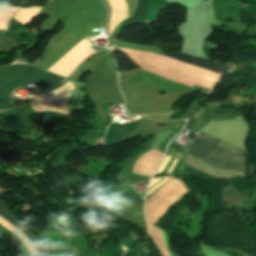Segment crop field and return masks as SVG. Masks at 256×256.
<instances>
[{
    "label": "crop field",
    "mask_w": 256,
    "mask_h": 256,
    "mask_svg": "<svg viewBox=\"0 0 256 256\" xmlns=\"http://www.w3.org/2000/svg\"><path fill=\"white\" fill-rule=\"evenodd\" d=\"M74 90V84L67 82L59 88L40 95H28L31 107L37 112L43 110H54L68 114L67 102Z\"/></svg>",
    "instance_id": "f4fd0767"
},
{
    "label": "crop field",
    "mask_w": 256,
    "mask_h": 256,
    "mask_svg": "<svg viewBox=\"0 0 256 256\" xmlns=\"http://www.w3.org/2000/svg\"><path fill=\"white\" fill-rule=\"evenodd\" d=\"M0 216L4 217L11 224L17 227L20 231L25 233L27 237L31 240V242L35 245V247L40 252V254L46 253L44 248L39 244L36 236L30 230H28L18 218H16L13 215V213L9 210L8 206H6L1 200H0Z\"/></svg>",
    "instance_id": "5a996713"
},
{
    "label": "crop field",
    "mask_w": 256,
    "mask_h": 256,
    "mask_svg": "<svg viewBox=\"0 0 256 256\" xmlns=\"http://www.w3.org/2000/svg\"><path fill=\"white\" fill-rule=\"evenodd\" d=\"M240 114L241 112L239 111L228 110V109H218V108L191 109L188 115V121H189L188 127H190L191 130L188 132V134L198 132L205 124L211 121L237 119Z\"/></svg>",
    "instance_id": "dd49c442"
},
{
    "label": "crop field",
    "mask_w": 256,
    "mask_h": 256,
    "mask_svg": "<svg viewBox=\"0 0 256 256\" xmlns=\"http://www.w3.org/2000/svg\"><path fill=\"white\" fill-rule=\"evenodd\" d=\"M161 54L164 56L170 57V58H174V59L192 64V65H196V66H199V67H202L205 69H209V70H212L215 72H219L222 74L225 72L231 71L233 68L231 65L192 57L183 52L172 53V52L162 51Z\"/></svg>",
    "instance_id": "d8731c3e"
},
{
    "label": "crop field",
    "mask_w": 256,
    "mask_h": 256,
    "mask_svg": "<svg viewBox=\"0 0 256 256\" xmlns=\"http://www.w3.org/2000/svg\"><path fill=\"white\" fill-rule=\"evenodd\" d=\"M50 0H24L23 8L30 6H47Z\"/></svg>",
    "instance_id": "22f410ed"
},
{
    "label": "crop field",
    "mask_w": 256,
    "mask_h": 256,
    "mask_svg": "<svg viewBox=\"0 0 256 256\" xmlns=\"http://www.w3.org/2000/svg\"><path fill=\"white\" fill-rule=\"evenodd\" d=\"M187 191L188 189L183 182L171 178L146 202L147 222L154 225L163 213Z\"/></svg>",
    "instance_id": "34b2d1b8"
},
{
    "label": "crop field",
    "mask_w": 256,
    "mask_h": 256,
    "mask_svg": "<svg viewBox=\"0 0 256 256\" xmlns=\"http://www.w3.org/2000/svg\"><path fill=\"white\" fill-rule=\"evenodd\" d=\"M77 67H78V66H77ZM77 67H76V68H77ZM76 68H75V69H76ZM75 69H74V70H75ZM74 70H73V71H74ZM73 71H72V72H73ZM72 72H71V73H72ZM71 73H70V74H71ZM70 74H69V75H70ZM69 75H68V76H69ZM68 76H67V77H68ZM67 77H66V78H67Z\"/></svg>",
    "instance_id": "5142ce71"
},
{
    "label": "crop field",
    "mask_w": 256,
    "mask_h": 256,
    "mask_svg": "<svg viewBox=\"0 0 256 256\" xmlns=\"http://www.w3.org/2000/svg\"><path fill=\"white\" fill-rule=\"evenodd\" d=\"M0 231L7 233L28 256H31V254L28 252V250L24 247V245L20 242V240L17 238L15 234H13L11 231L6 229L1 224H0ZM41 256H48V255H41Z\"/></svg>",
    "instance_id": "d1516ede"
},
{
    "label": "crop field",
    "mask_w": 256,
    "mask_h": 256,
    "mask_svg": "<svg viewBox=\"0 0 256 256\" xmlns=\"http://www.w3.org/2000/svg\"><path fill=\"white\" fill-rule=\"evenodd\" d=\"M165 4L166 0L149 1V22L155 21L158 13ZM141 22H148V0H137V7L134 13L129 18L123 20L120 30L128 25Z\"/></svg>",
    "instance_id": "e52e79f7"
},
{
    "label": "crop field",
    "mask_w": 256,
    "mask_h": 256,
    "mask_svg": "<svg viewBox=\"0 0 256 256\" xmlns=\"http://www.w3.org/2000/svg\"><path fill=\"white\" fill-rule=\"evenodd\" d=\"M199 134L187 153L213 168L232 169L245 175V156H242L243 153H246L244 149L232 146L201 131Z\"/></svg>",
    "instance_id": "8a807250"
},
{
    "label": "crop field",
    "mask_w": 256,
    "mask_h": 256,
    "mask_svg": "<svg viewBox=\"0 0 256 256\" xmlns=\"http://www.w3.org/2000/svg\"><path fill=\"white\" fill-rule=\"evenodd\" d=\"M34 69L35 67L27 65H11L0 68V108H2L7 102L10 92L16 88L24 78L32 73ZM27 78V81L24 84L25 86L33 82L43 87L42 89L48 88L63 79L58 76L45 73L37 68Z\"/></svg>",
    "instance_id": "ac0d7876"
},
{
    "label": "crop field",
    "mask_w": 256,
    "mask_h": 256,
    "mask_svg": "<svg viewBox=\"0 0 256 256\" xmlns=\"http://www.w3.org/2000/svg\"><path fill=\"white\" fill-rule=\"evenodd\" d=\"M149 227V233L153 239V241L155 242V244L157 245V247L159 248V250L161 251L163 256H170V254L168 253L166 247H165V242H164V238H163V232L161 229H158L150 224H148Z\"/></svg>",
    "instance_id": "3316defc"
},
{
    "label": "crop field",
    "mask_w": 256,
    "mask_h": 256,
    "mask_svg": "<svg viewBox=\"0 0 256 256\" xmlns=\"http://www.w3.org/2000/svg\"><path fill=\"white\" fill-rule=\"evenodd\" d=\"M21 0H0V4L12 5L20 7Z\"/></svg>",
    "instance_id": "cbeb9de0"
},
{
    "label": "crop field",
    "mask_w": 256,
    "mask_h": 256,
    "mask_svg": "<svg viewBox=\"0 0 256 256\" xmlns=\"http://www.w3.org/2000/svg\"><path fill=\"white\" fill-rule=\"evenodd\" d=\"M35 114L29 105L2 112L0 113V129L31 140Z\"/></svg>",
    "instance_id": "412701ff"
},
{
    "label": "crop field",
    "mask_w": 256,
    "mask_h": 256,
    "mask_svg": "<svg viewBox=\"0 0 256 256\" xmlns=\"http://www.w3.org/2000/svg\"><path fill=\"white\" fill-rule=\"evenodd\" d=\"M168 155L174 156L180 160L183 161L184 157L186 156L187 153H185L181 147L171 143L170 148L168 150Z\"/></svg>",
    "instance_id": "28ad6ade"
}]
</instances>
